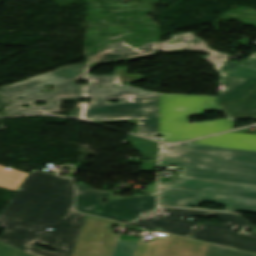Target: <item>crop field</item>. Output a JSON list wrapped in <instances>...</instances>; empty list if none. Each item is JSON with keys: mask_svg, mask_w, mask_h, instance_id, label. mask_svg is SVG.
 I'll return each mask as SVG.
<instances>
[{"mask_svg": "<svg viewBox=\"0 0 256 256\" xmlns=\"http://www.w3.org/2000/svg\"><path fill=\"white\" fill-rule=\"evenodd\" d=\"M5 166L0 165V186L17 191L27 173H23L17 170L4 169Z\"/></svg>", "mask_w": 256, "mask_h": 256, "instance_id": "15", "label": "crop field"}, {"mask_svg": "<svg viewBox=\"0 0 256 256\" xmlns=\"http://www.w3.org/2000/svg\"><path fill=\"white\" fill-rule=\"evenodd\" d=\"M183 168L181 177L256 186V152L197 144L162 150L160 165Z\"/></svg>", "mask_w": 256, "mask_h": 256, "instance_id": "3", "label": "crop field"}, {"mask_svg": "<svg viewBox=\"0 0 256 256\" xmlns=\"http://www.w3.org/2000/svg\"><path fill=\"white\" fill-rule=\"evenodd\" d=\"M209 216L217 217L226 223L219 226L203 223L191 238L256 253V232L253 231L254 227L240 215L211 212ZM238 226L242 228L239 233H236L234 231ZM246 229L252 230V233L246 232Z\"/></svg>", "mask_w": 256, "mask_h": 256, "instance_id": "9", "label": "crop field"}, {"mask_svg": "<svg viewBox=\"0 0 256 256\" xmlns=\"http://www.w3.org/2000/svg\"><path fill=\"white\" fill-rule=\"evenodd\" d=\"M0 256H31V255L0 243Z\"/></svg>", "mask_w": 256, "mask_h": 256, "instance_id": "17", "label": "crop field"}, {"mask_svg": "<svg viewBox=\"0 0 256 256\" xmlns=\"http://www.w3.org/2000/svg\"><path fill=\"white\" fill-rule=\"evenodd\" d=\"M80 106H81V102H79V104L77 105V107L75 108V110L73 111L70 117L79 119Z\"/></svg>", "mask_w": 256, "mask_h": 256, "instance_id": "20", "label": "crop field"}, {"mask_svg": "<svg viewBox=\"0 0 256 256\" xmlns=\"http://www.w3.org/2000/svg\"><path fill=\"white\" fill-rule=\"evenodd\" d=\"M127 46L126 50L123 47ZM159 42L133 48L123 39L85 57L82 97H91L81 106L80 119L96 123L132 122L138 126L132 133L156 139L158 135V92L129 87L144 77L127 75V68H115L114 75L92 76L94 66L102 63L133 60L156 54ZM125 83L126 85H122ZM103 87H99V86ZM115 99L119 103H109Z\"/></svg>", "mask_w": 256, "mask_h": 256, "instance_id": "2", "label": "crop field"}, {"mask_svg": "<svg viewBox=\"0 0 256 256\" xmlns=\"http://www.w3.org/2000/svg\"><path fill=\"white\" fill-rule=\"evenodd\" d=\"M80 79H83V64L65 66L51 73L2 87L0 94L12 100L8 116L58 112L60 101L81 99L82 85H74V82ZM49 84L56 85L55 92L45 93L43 85ZM20 96H23V99L17 100V97ZM35 101H47V104L36 106L34 105ZM26 104H30V107L22 108V105Z\"/></svg>", "mask_w": 256, "mask_h": 256, "instance_id": "4", "label": "crop field"}, {"mask_svg": "<svg viewBox=\"0 0 256 256\" xmlns=\"http://www.w3.org/2000/svg\"><path fill=\"white\" fill-rule=\"evenodd\" d=\"M160 50L173 53L181 51H205L201 57L214 64L220 74L218 101L244 97L256 86V57L251 56L237 64L228 61L229 55L211 50L205 41L191 32L173 35L169 41L160 42Z\"/></svg>", "mask_w": 256, "mask_h": 256, "instance_id": "6", "label": "crop field"}, {"mask_svg": "<svg viewBox=\"0 0 256 256\" xmlns=\"http://www.w3.org/2000/svg\"><path fill=\"white\" fill-rule=\"evenodd\" d=\"M256 133V132H255Z\"/></svg>", "mask_w": 256, "mask_h": 256, "instance_id": "24", "label": "crop field"}, {"mask_svg": "<svg viewBox=\"0 0 256 256\" xmlns=\"http://www.w3.org/2000/svg\"><path fill=\"white\" fill-rule=\"evenodd\" d=\"M190 143L246 149L256 151V134L228 132Z\"/></svg>", "mask_w": 256, "mask_h": 256, "instance_id": "12", "label": "crop field"}, {"mask_svg": "<svg viewBox=\"0 0 256 256\" xmlns=\"http://www.w3.org/2000/svg\"><path fill=\"white\" fill-rule=\"evenodd\" d=\"M73 201L71 179L32 170L0 213L6 227L0 242L33 256H72L86 217L72 210ZM35 242L58 251L46 252Z\"/></svg>", "mask_w": 256, "mask_h": 256, "instance_id": "1", "label": "crop field"}, {"mask_svg": "<svg viewBox=\"0 0 256 256\" xmlns=\"http://www.w3.org/2000/svg\"><path fill=\"white\" fill-rule=\"evenodd\" d=\"M130 144L140 151L143 156H152V160H157V143L130 136Z\"/></svg>", "mask_w": 256, "mask_h": 256, "instance_id": "16", "label": "crop field"}, {"mask_svg": "<svg viewBox=\"0 0 256 256\" xmlns=\"http://www.w3.org/2000/svg\"><path fill=\"white\" fill-rule=\"evenodd\" d=\"M205 111H221L216 96L159 94V134L164 142H180L182 123H189L190 115Z\"/></svg>", "mask_w": 256, "mask_h": 256, "instance_id": "8", "label": "crop field"}, {"mask_svg": "<svg viewBox=\"0 0 256 256\" xmlns=\"http://www.w3.org/2000/svg\"><path fill=\"white\" fill-rule=\"evenodd\" d=\"M147 191L156 192V182L149 184L147 187Z\"/></svg>", "mask_w": 256, "mask_h": 256, "instance_id": "21", "label": "crop field"}, {"mask_svg": "<svg viewBox=\"0 0 256 256\" xmlns=\"http://www.w3.org/2000/svg\"><path fill=\"white\" fill-rule=\"evenodd\" d=\"M234 123V119H221L183 124L181 142L232 129L234 127Z\"/></svg>", "mask_w": 256, "mask_h": 256, "instance_id": "14", "label": "crop field"}, {"mask_svg": "<svg viewBox=\"0 0 256 256\" xmlns=\"http://www.w3.org/2000/svg\"><path fill=\"white\" fill-rule=\"evenodd\" d=\"M112 194L111 192L93 190L89 185L78 181L76 210L105 218L112 216L113 218L136 219L154 210L156 206L155 194L112 198L106 204L102 203V198L111 197Z\"/></svg>", "mask_w": 256, "mask_h": 256, "instance_id": "7", "label": "crop field"}, {"mask_svg": "<svg viewBox=\"0 0 256 256\" xmlns=\"http://www.w3.org/2000/svg\"><path fill=\"white\" fill-rule=\"evenodd\" d=\"M210 212L159 207L132 224L190 237L200 223L182 220L186 216H208Z\"/></svg>", "mask_w": 256, "mask_h": 256, "instance_id": "10", "label": "crop field"}, {"mask_svg": "<svg viewBox=\"0 0 256 256\" xmlns=\"http://www.w3.org/2000/svg\"><path fill=\"white\" fill-rule=\"evenodd\" d=\"M11 100L0 95V107H6V111L1 112L0 116H7Z\"/></svg>", "mask_w": 256, "mask_h": 256, "instance_id": "18", "label": "crop field"}, {"mask_svg": "<svg viewBox=\"0 0 256 256\" xmlns=\"http://www.w3.org/2000/svg\"><path fill=\"white\" fill-rule=\"evenodd\" d=\"M156 164L157 162H143L140 170H151V168L155 167Z\"/></svg>", "mask_w": 256, "mask_h": 256, "instance_id": "19", "label": "crop field"}, {"mask_svg": "<svg viewBox=\"0 0 256 256\" xmlns=\"http://www.w3.org/2000/svg\"><path fill=\"white\" fill-rule=\"evenodd\" d=\"M6 125H0V130L5 128Z\"/></svg>", "mask_w": 256, "mask_h": 256, "instance_id": "22", "label": "crop field"}, {"mask_svg": "<svg viewBox=\"0 0 256 256\" xmlns=\"http://www.w3.org/2000/svg\"><path fill=\"white\" fill-rule=\"evenodd\" d=\"M167 239L151 242L119 240L113 256H162ZM202 256H256V254L207 243Z\"/></svg>", "mask_w": 256, "mask_h": 256, "instance_id": "11", "label": "crop field"}, {"mask_svg": "<svg viewBox=\"0 0 256 256\" xmlns=\"http://www.w3.org/2000/svg\"><path fill=\"white\" fill-rule=\"evenodd\" d=\"M255 45H256V43H255ZM253 55H256V53H254Z\"/></svg>", "mask_w": 256, "mask_h": 256, "instance_id": "23", "label": "crop field"}, {"mask_svg": "<svg viewBox=\"0 0 256 256\" xmlns=\"http://www.w3.org/2000/svg\"><path fill=\"white\" fill-rule=\"evenodd\" d=\"M219 104L228 118L256 119V87L244 98L221 101Z\"/></svg>", "mask_w": 256, "mask_h": 256, "instance_id": "13", "label": "crop field"}, {"mask_svg": "<svg viewBox=\"0 0 256 256\" xmlns=\"http://www.w3.org/2000/svg\"><path fill=\"white\" fill-rule=\"evenodd\" d=\"M201 201L222 203L227 212L256 213V188L186 178L160 183V205L192 208Z\"/></svg>", "mask_w": 256, "mask_h": 256, "instance_id": "5", "label": "crop field"}]
</instances>
